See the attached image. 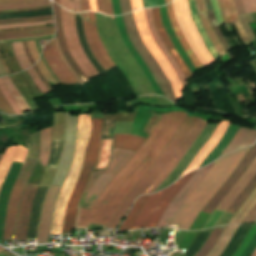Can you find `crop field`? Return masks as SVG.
Masks as SVG:
<instances>
[{
	"mask_svg": "<svg viewBox=\"0 0 256 256\" xmlns=\"http://www.w3.org/2000/svg\"><path fill=\"white\" fill-rule=\"evenodd\" d=\"M91 121H92V130H91L89 142L86 148L83 168L80 173L77 184L74 188V191L67 204L62 235L71 233L73 230L76 215H77L78 203L86 188L87 182L96 166L103 119H91Z\"/></svg>",
	"mask_w": 256,
	"mask_h": 256,
	"instance_id": "dd49c442",
	"label": "crop field"
},
{
	"mask_svg": "<svg viewBox=\"0 0 256 256\" xmlns=\"http://www.w3.org/2000/svg\"><path fill=\"white\" fill-rule=\"evenodd\" d=\"M61 23L65 34L66 44L70 51L71 56L74 58L78 66L84 72L86 77L90 79L91 77H96L99 74L91 65L87 57L85 56L76 33L75 29V16L73 13L67 12L66 10L60 8Z\"/></svg>",
	"mask_w": 256,
	"mask_h": 256,
	"instance_id": "28ad6ade",
	"label": "crop field"
},
{
	"mask_svg": "<svg viewBox=\"0 0 256 256\" xmlns=\"http://www.w3.org/2000/svg\"><path fill=\"white\" fill-rule=\"evenodd\" d=\"M256 204V190L252 195L246 200V202L237 211L234 217L230 220L228 224H238L243 221L246 215L251 211L253 206Z\"/></svg>",
	"mask_w": 256,
	"mask_h": 256,
	"instance_id": "1d83c4d3",
	"label": "crop field"
},
{
	"mask_svg": "<svg viewBox=\"0 0 256 256\" xmlns=\"http://www.w3.org/2000/svg\"><path fill=\"white\" fill-rule=\"evenodd\" d=\"M29 75L31 76L32 80L35 82V84L39 87V89L42 91L43 94L49 93V91L45 88L44 84L40 80L39 76L35 72V70L32 68L27 70Z\"/></svg>",
	"mask_w": 256,
	"mask_h": 256,
	"instance_id": "d23c7cc5",
	"label": "crop field"
},
{
	"mask_svg": "<svg viewBox=\"0 0 256 256\" xmlns=\"http://www.w3.org/2000/svg\"><path fill=\"white\" fill-rule=\"evenodd\" d=\"M245 12H256V0H242Z\"/></svg>",
	"mask_w": 256,
	"mask_h": 256,
	"instance_id": "1f2cbd36",
	"label": "crop field"
},
{
	"mask_svg": "<svg viewBox=\"0 0 256 256\" xmlns=\"http://www.w3.org/2000/svg\"><path fill=\"white\" fill-rule=\"evenodd\" d=\"M145 10V14H146V19H147V23H148V27L157 43V45L159 46V48L161 49L162 53L164 54V56L168 59V61L171 63V65L173 66V68L175 69L179 79L181 80L183 87L186 86V84L188 83L184 73L182 72L181 68L177 65V63L174 61V59L171 57L169 51L167 50L166 46L164 45L163 41L161 40V38L159 37L158 33L155 30V27L153 25V21H152V11L151 8H147L144 9Z\"/></svg>",
	"mask_w": 256,
	"mask_h": 256,
	"instance_id": "92a150f3",
	"label": "crop field"
},
{
	"mask_svg": "<svg viewBox=\"0 0 256 256\" xmlns=\"http://www.w3.org/2000/svg\"><path fill=\"white\" fill-rule=\"evenodd\" d=\"M256 144V143H255ZM256 157V145H254L250 151L245 155L241 163L237 166L234 172L229 176L225 183L220 187L216 194L212 197L209 203L203 208L202 212L211 214L221 199L231 189L239 177L243 174L252 160Z\"/></svg>",
	"mask_w": 256,
	"mask_h": 256,
	"instance_id": "5142ce71",
	"label": "crop field"
},
{
	"mask_svg": "<svg viewBox=\"0 0 256 256\" xmlns=\"http://www.w3.org/2000/svg\"><path fill=\"white\" fill-rule=\"evenodd\" d=\"M144 141L145 138L138 136L114 134L113 147L136 151L144 143Z\"/></svg>",
	"mask_w": 256,
	"mask_h": 256,
	"instance_id": "ae1a2a85",
	"label": "crop field"
},
{
	"mask_svg": "<svg viewBox=\"0 0 256 256\" xmlns=\"http://www.w3.org/2000/svg\"><path fill=\"white\" fill-rule=\"evenodd\" d=\"M82 17H83L85 20L88 21V19H87V13H82Z\"/></svg>",
	"mask_w": 256,
	"mask_h": 256,
	"instance_id": "c5b07064",
	"label": "crop field"
},
{
	"mask_svg": "<svg viewBox=\"0 0 256 256\" xmlns=\"http://www.w3.org/2000/svg\"><path fill=\"white\" fill-rule=\"evenodd\" d=\"M51 139L52 126L40 131V157L38 160L44 166H46L49 156ZM39 161L37 162L27 183L39 184L45 171V167ZM37 186L38 185L32 184L26 185V189L21 200L14 240H26L31 203L33 196L37 190Z\"/></svg>",
	"mask_w": 256,
	"mask_h": 256,
	"instance_id": "e52e79f7",
	"label": "crop field"
},
{
	"mask_svg": "<svg viewBox=\"0 0 256 256\" xmlns=\"http://www.w3.org/2000/svg\"><path fill=\"white\" fill-rule=\"evenodd\" d=\"M27 44H28V48L30 50L31 56H32L34 62H36L39 54H38L37 48L35 46V43L33 41H28Z\"/></svg>",
	"mask_w": 256,
	"mask_h": 256,
	"instance_id": "dbb93151",
	"label": "crop field"
},
{
	"mask_svg": "<svg viewBox=\"0 0 256 256\" xmlns=\"http://www.w3.org/2000/svg\"><path fill=\"white\" fill-rule=\"evenodd\" d=\"M17 146V145H16ZM16 146L6 149L1 160H0V188L3 183V180L9 170V167L12 163L13 155L16 149Z\"/></svg>",
	"mask_w": 256,
	"mask_h": 256,
	"instance_id": "d32e631a",
	"label": "crop field"
},
{
	"mask_svg": "<svg viewBox=\"0 0 256 256\" xmlns=\"http://www.w3.org/2000/svg\"><path fill=\"white\" fill-rule=\"evenodd\" d=\"M82 23H83V27H84L85 37H86L88 46H89L92 54L94 55L96 60L99 62V64L104 68L105 71L110 70V67L107 65V63L100 56L99 52L97 51V49L94 45L93 39H92V37L90 35V32H89L88 22L82 20Z\"/></svg>",
	"mask_w": 256,
	"mask_h": 256,
	"instance_id": "028f5c9d",
	"label": "crop field"
},
{
	"mask_svg": "<svg viewBox=\"0 0 256 256\" xmlns=\"http://www.w3.org/2000/svg\"><path fill=\"white\" fill-rule=\"evenodd\" d=\"M113 140H102L99 164L96 169H105L111 159V147Z\"/></svg>",
	"mask_w": 256,
	"mask_h": 256,
	"instance_id": "e1f06a70",
	"label": "crop field"
},
{
	"mask_svg": "<svg viewBox=\"0 0 256 256\" xmlns=\"http://www.w3.org/2000/svg\"><path fill=\"white\" fill-rule=\"evenodd\" d=\"M42 53L62 84L77 83L76 79L72 76L62 59L59 57L54 40L45 46Z\"/></svg>",
	"mask_w": 256,
	"mask_h": 256,
	"instance_id": "d9b57169",
	"label": "crop field"
},
{
	"mask_svg": "<svg viewBox=\"0 0 256 256\" xmlns=\"http://www.w3.org/2000/svg\"><path fill=\"white\" fill-rule=\"evenodd\" d=\"M144 8L158 6L157 0H143Z\"/></svg>",
	"mask_w": 256,
	"mask_h": 256,
	"instance_id": "db79e9e6",
	"label": "crop field"
},
{
	"mask_svg": "<svg viewBox=\"0 0 256 256\" xmlns=\"http://www.w3.org/2000/svg\"><path fill=\"white\" fill-rule=\"evenodd\" d=\"M13 45V51L15 54V57L21 67L22 70L28 68L30 65L27 56L25 54V51L23 49L22 43L21 42H17V43H12Z\"/></svg>",
	"mask_w": 256,
	"mask_h": 256,
	"instance_id": "c035e120",
	"label": "crop field"
},
{
	"mask_svg": "<svg viewBox=\"0 0 256 256\" xmlns=\"http://www.w3.org/2000/svg\"><path fill=\"white\" fill-rule=\"evenodd\" d=\"M213 163L214 162L196 171V173L191 177V179L186 183V185L181 189V191L173 198V200L167 207L165 213L161 217L156 227L167 226L169 220L172 218L174 213L179 209L182 202L185 200L188 194L194 189V187L201 181V179L206 175V173L209 171Z\"/></svg>",
	"mask_w": 256,
	"mask_h": 256,
	"instance_id": "cbeb9de0",
	"label": "crop field"
},
{
	"mask_svg": "<svg viewBox=\"0 0 256 256\" xmlns=\"http://www.w3.org/2000/svg\"><path fill=\"white\" fill-rule=\"evenodd\" d=\"M233 1L236 6L237 15L245 13L241 4V0H233Z\"/></svg>",
	"mask_w": 256,
	"mask_h": 256,
	"instance_id": "0765c3eb",
	"label": "crop field"
},
{
	"mask_svg": "<svg viewBox=\"0 0 256 256\" xmlns=\"http://www.w3.org/2000/svg\"><path fill=\"white\" fill-rule=\"evenodd\" d=\"M218 4L221 9L222 16H223L225 23L234 22L237 32H238L240 38L242 39V41L245 43V45L250 44V41L246 37V35L238 21V17L235 13V9H234L232 0H218Z\"/></svg>",
	"mask_w": 256,
	"mask_h": 256,
	"instance_id": "dafd665d",
	"label": "crop field"
},
{
	"mask_svg": "<svg viewBox=\"0 0 256 256\" xmlns=\"http://www.w3.org/2000/svg\"><path fill=\"white\" fill-rule=\"evenodd\" d=\"M89 1H90L91 10L97 11L96 1L95 0H89Z\"/></svg>",
	"mask_w": 256,
	"mask_h": 256,
	"instance_id": "c39391a2",
	"label": "crop field"
},
{
	"mask_svg": "<svg viewBox=\"0 0 256 256\" xmlns=\"http://www.w3.org/2000/svg\"><path fill=\"white\" fill-rule=\"evenodd\" d=\"M60 6L63 8L74 11V1L73 0H60Z\"/></svg>",
	"mask_w": 256,
	"mask_h": 256,
	"instance_id": "9d1cf04e",
	"label": "crop field"
},
{
	"mask_svg": "<svg viewBox=\"0 0 256 256\" xmlns=\"http://www.w3.org/2000/svg\"><path fill=\"white\" fill-rule=\"evenodd\" d=\"M48 12V11H47ZM40 13V12H39ZM31 14V13H30ZM3 17V16H2Z\"/></svg>",
	"mask_w": 256,
	"mask_h": 256,
	"instance_id": "180be81f",
	"label": "crop field"
},
{
	"mask_svg": "<svg viewBox=\"0 0 256 256\" xmlns=\"http://www.w3.org/2000/svg\"><path fill=\"white\" fill-rule=\"evenodd\" d=\"M238 227L239 225L226 226L216 245L207 256H219L233 237Z\"/></svg>",
	"mask_w": 256,
	"mask_h": 256,
	"instance_id": "bd1437ed",
	"label": "crop field"
},
{
	"mask_svg": "<svg viewBox=\"0 0 256 256\" xmlns=\"http://www.w3.org/2000/svg\"><path fill=\"white\" fill-rule=\"evenodd\" d=\"M98 12L105 15H114L111 6V0H96Z\"/></svg>",
	"mask_w": 256,
	"mask_h": 256,
	"instance_id": "5d738f31",
	"label": "crop field"
},
{
	"mask_svg": "<svg viewBox=\"0 0 256 256\" xmlns=\"http://www.w3.org/2000/svg\"><path fill=\"white\" fill-rule=\"evenodd\" d=\"M166 8H167L168 16H169L170 22L172 24V27L182 45V47L184 48L186 54L188 55L189 59L195 65L196 69L204 68L202 66V64L199 62V60L196 58V56L193 54L188 42L186 41L183 33L181 32V30L177 24L175 14H174L173 4L170 3V4L166 5Z\"/></svg>",
	"mask_w": 256,
	"mask_h": 256,
	"instance_id": "a9b5d70f",
	"label": "crop field"
},
{
	"mask_svg": "<svg viewBox=\"0 0 256 256\" xmlns=\"http://www.w3.org/2000/svg\"><path fill=\"white\" fill-rule=\"evenodd\" d=\"M43 76L46 78L47 81L56 83L54 78L51 76V74L48 72V70L45 68V66L42 64L41 60L39 59L38 63L36 64Z\"/></svg>",
	"mask_w": 256,
	"mask_h": 256,
	"instance_id": "89e229c0",
	"label": "crop field"
},
{
	"mask_svg": "<svg viewBox=\"0 0 256 256\" xmlns=\"http://www.w3.org/2000/svg\"><path fill=\"white\" fill-rule=\"evenodd\" d=\"M132 8L134 9H140L143 8L142 6V0H131Z\"/></svg>",
	"mask_w": 256,
	"mask_h": 256,
	"instance_id": "7b73153f",
	"label": "crop field"
},
{
	"mask_svg": "<svg viewBox=\"0 0 256 256\" xmlns=\"http://www.w3.org/2000/svg\"><path fill=\"white\" fill-rule=\"evenodd\" d=\"M195 1H196L197 10H198V16L201 20V23H202L207 35L209 36L210 40L212 41L216 51L218 52L219 55L226 53L225 50L223 49V47L221 46L220 42L216 38V36L206 18L203 1L202 0H195Z\"/></svg>",
	"mask_w": 256,
	"mask_h": 256,
	"instance_id": "eef30255",
	"label": "crop field"
},
{
	"mask_svg": "<svg viewBox=\"0 0 256 256\" xmlns=\"http://www.w3.org/2000/svg\"><path fill=\"white\" fill-rule=\"evenodd\" d=\"M90 28H91V32H92V35H93L94 42H95V44H96L100 54L102 55V57L104 58V60L108 63V65L110 67L114 66V63L108 57V55L106 54V52H105V50L103 48V45H102V43H101V41L99 39V36L97 34L95 26L90 24Z\"/></svg>",
	"mask_w": 256,
	"mask_h": 256,
	"instance_id": "03da06ac",
	"label": "crop field"
},
{
	"mask_svg": "<svg viewBox=\"0 0 256 256\" xmlns=\"http://www.w3.org/2000/svg\"><path fill=\"white\" fill-rule=\"evenodd\" d=\"M224 228L213 229L206 243L195 256H206L213 248Z\"/></svg>",
	"mask_w": 256,
	"mask_h": 256,
	"instance_id": "b80d0937",
	"label": "crop field"
},
{
	"mask_svg": "<svg viewBox=\"0 0 256 256\" xmlns=\"http://www.w3.org/2000/svg\"><path fill=\"white\" fill-rule=\"evenodd\" d=\"M167 115H169L168 118L156 135ZM187 115L188 113L186 112H168L163 114L147 141L111 179L106 189L104 188L105 190L94 203L92 209L81 208L77 227H87L89 223L106 226L127 192L148 171L178 131Z\"/></svg>",
	"mask_w": 256,
	"mask_h": 256,
	"instance_id": "8a807250",
	"label": "crop field"
},
{
	"mask_svg": "<svg viewBox=\"0 0 256 256\" xmlns=\"http://www.w3.org/2000/svg\"><path fill=\"white\" fill-rule=\"evenodd\" d=\"M256 221V205L243 222Z\"/></svg>",
	"mask_w": 256,
	"mask_h": 256,
	"instance_id": "447ae74e",
	"label": "crop field"
},
{
	"mask_svg": "<svg viewBox=\"0 0 256 256\" xmlns=\"http://www.w3.org/2000/svg\"><path fill=\"white\" fill-rule=\"evenodd\" d=\"M52 5H53L55 21H56V25H57V39H58V43H59L60 49H61L63 55L66 57L67 61L74 68L76 73L79 75V77L81 78L82 82L83 83L88 82L89 80L84 76V74L78 68V66L76 65L75 61L70 57V54H69V52L67 50V47H66V44H65V41H64V37H63L61 23H60L59 6H57L53 2H52Z\"/></svg>",
	"mask_w": 256,
	"mask_h": 256,
	"instance_id": "00972430",
	"label": "crop field"
},
{
	"mask_svg": "<svg viewBox=\"0 0 256 256\" xmlns=\"http://www.w3.org/2000/svg\"><path fill=\"white\" fill-rule=\"evenodd\" d=\"M49 18H53V16L29 18V19H19V20H10V21H0V24L34 22V21H40V20L49 19Z\"/></svg>",
	"mask_w": 256,
	"mask_h": 256,
	"instance_id": "73cf0c24",
	"label": "crop field"
},
{
	"mask_svg": "<svg viewBox=\"0 0 256 256\" xmlns=\"http://www.w3.org/2000/svg\"><path fill=\"white\" fill-rule=\"evenodd\" d=\"M231 121H221L216 130L214 131L213 135L211 136L210 140L203 146V148L199 151V153L195 156V158L192 160V162L189 164V166L186 168V170L183 172L181 176L184 174L195 170L199 168L202 161L205 159V157L215 148V146L218 144L219 140L223 136L224 132L228 128ZM180 176V177H181Z\"/></svg>",
	"mask_w": 256,
	"mask_h": 256,
	"instance_id": "4a817a6b",
	"label": "crop field"
},
{
	"mask_svg": "<svg viewBox=\"0 0 256 256\" xmlns=\"http://www.w3.org/2000/svg\"><path fill=\"white\" fill-rule=\"evenodd\" d=\"M90 129L91 122L89 114L79 116L74 160L72 163L71 171L69 170L70 173L61 188L55 205L54 218L50 234L61 235L66 204L81 171Z\"/></svg>",
	"mask_w": 256,
	"mask_h": 256,
	"instance_id": "f4fd0767",
	"label": "crop field"
},
{
	"mask_svg": "<svg viewBox=\"0 0 256 256\" xmlns=\"http://www.w3.org/2000/svg\"><path fill=\"white\" fill-rule=\"evenodd\" d=\"M133 15H134V19H135L137 28L140 32L143 42L145 43V45L147 46V48L149 49L151 54L154 56V58L156 59V61L159 64V66L161 67V69L167 76L168 80L170 81V83L174 89L176 99L178 101L179 98L181 97L183 87H182L176 73L174 72L173 68L168 63V61L165 59V57L159 50L158 46L154 42L153 38L151 37L148 27H147L143 9L134 11Z\"/></svg>",
	"mask_w": 256,
	"mask_h": 256,
	"instance_id": "3316defc",
	"label": "crop field"
},
{
	"mask_svg": "<svg viewBox=\"0 0 256 256\" xmlns=\"http://www.w3.org/2000/svg\"><path fill=\"white\" fill-rule=\"evenodd\" d=\"M152 11H153L154 25H155L159 35L163 39V41L166 44V46L168 47L171 55L174 57L175 61L179 64V66L182 68L183 72L185 73V75H186V77L188 79L193 74L188 69V67L185 65V63L182 61L181 57L176 52L173 44L171 43L169 37L167 36V34H166V32H165V30L163 28V25L161 23L159 7L152 8Z\"/></svg>",
	"mask_w": 256,
	"mask_h": 256,
	"instance_id": "bc2a9ffb",
	"label": "crop field"
},
{
	"mask_svg": "<svg viewBox=\"0 0 256 256\" xmlns=\"http://www.w3.org/2000/svg\"><path fill=\"white\" fill-rule=\"evenodd\" d=\"M2 155H0V158H1Z\"/></svg>",
	"mask_w": 256,
	"mask_h": 256,
	"instance_id": "f0312440",
	"label": "crop field"
},
{
	"mask_svg": "<svg viewBox=\"0 0 256 256\" xmlns=\"http://www.w3.org/2000/svg\"><path fill=\"white\" fill-rule=\"evenodd\" d=\"M205 2V8H206V13H207V17L209 19V22L217 36V38L219 39V41L221 42V44L223 45L224 49L227 51L231 50L229 48V46L226 44L219 28H218V25L216 23V20H215V17H214V13H213V10L211 8V4H210V0H204Z\"/></svg>",
	"mask_w": 256,
	"mask_h": 256,
	"instance_id": "5866460e",
	"label": "crop field"
},
{
	"mask_svg": "<svg viewBox=\"0 0 256 256\" xmlns=\"http://www.w3.org/2000/svg\"><path fill=\"white\" fill-rule=\"evenodd\" d=\"M198 118L187 117L179 131L173 137V139L166 146L164 151L161 153L159 158L149 169V171L132 187L129 193L124 198L123 202L115 212L114 216L107 224L106 228L115 229L119 224L121 219L126 214L133 200L141 193L142 189L149 183V181L158 173V171L165 165L169 160L171 154L175 151L181 140L190 131V129L195 125ZM207 123L198 119L196 125L191 129V131L186 135L183 141L180 143L176 151L172 154L170 160L166 165L159 171V173L153 178V180L147 185V187L142 191L140 195L151 194L161 182L173 171L177 166L179 161L182 159L190 145L195 141V139L200 135Z\"/></svg>",
	"mask_w": 256,
	"mask_h": 256,
	"instance_id": "ac0d7876",
	"label": "crop field"
},
{
	"mask_svg": "<svg viewBox=\"0 0 256 256\" xmlns=\"http://www.w3.org/2000/svg\"><path fill=\"white\" fill-rule=\"evenodd\" d=\"M256 141V131L240 127L239 131L226 147V149L221 153V155L238 149L240 147H247L254 144ZM220 155V156H221Z\"/></svg>",
	"mask_w": 256,
	"mask_h": 256,
	"instance_id": "4177f3b9",
	"label": "crop field"
},
{
	"mask_svg": "<svg viewBox=\"0 0 256 256\" xmlns=\"http://www.w3.org/2000/svg\"><path fill=\"white\" fill-rule=\"evenodd\" d=\"M174 9L179 26L189 42L192 50L204 67L215 62L206 49L190 15L187 0H174Z\"/></svg>",
	"mask_w": 256,
	"mask_h": 256,
	"instance_id": "5a996713",
	"label": "crop field"
},
{
	"mask_svg": "<svg viewBox=\"0 0 256 256\" xmlns=\"http://www.w3.org/2000/svg\"><path fill=\"white\" fill-rule=\"evenodd\" d=\"M50 23H54V20L34 22V23L0 25V29L13 28V27H23V26H33V25H42V24H50Z\"/></svg>",
	"mask_w": 256,
	"mask_h": 256,
	"instance_id": "425ffa30",
	"label": "crop field"
},
{
	"mask_svg": "<svg viewBox=\"0 0 256 256\" xmlns=\"http://www.w3.org/2000/svg\"><path fill=\"white\" fill-rule=\"evenodd\" d=\"M50 4V0L45 1H35V2H24V3H13V4H2L0 5V10H8L15 8H30L42 5Z\"/></svg>",
	"mask_w": 256,
	"mask_h": 256,
	"instance_id": "c21b1889",
	"label": "crop field"
},
{
	"mask_svg": "<svg viewBox=\"0 0 256 256\" xmlns=\"http://www.w3.org/2000/svg\"><path fill=\"white\" fill-rule=\"evenodd\" d=\"M251 256H256V249L254 250V252Z\"/></svg>",
	"mask_w": 256,
	"mask_h": 256,
	"instance_id": "c3a83c6f",
	"label": "crop field"
},
{
	"mask_svg": "<svg viewBox=\"0 0 256 256\" xmlns=\"http://www.w3.org/2000/svg\"><path fill=\"white\" fill-rule=\"evenodd\" d=\"M88 19L90 22L95 23V14L93 12H88Z\"/></svg>",
	"mask_w": 256,
	"mask_h": 256,
	"instance_id": "e1d0b9f6",
	"label": "crop field"
},
{
	"mask_svg": "<svg viewBox=\"0 0 256 256\" xmlns=\"http://www.w3.org/2000/svg\"><path fill=\"white\" fill-rule=\"evenodd\" d=\"M134 152L113 148V159L104 172H94L80 207L90 209L109 180L125 165Z\"/></svg>",
	"mask_w": 256,
	"mask_h": 256,
	"instance_id": "d8731c3e",
	"label": "crop field"
},
{
	"mask_svg": "<svg viewBox=\"0 0 256 256\" xmlns=\"http://www.w3.org/2000/svg\"><path fill=\"white\" fill-rule=\"evenodd\" d=\"M20 1H29V0H0L1 3H11V2H20Z\"/></svg>",
	"mask_w": 256,
	"mask_h": 256,
	"instance_id": "ade564c9",
	"label": "crop field"
},
{
	"mask_svg": "<svg viewBox=\"0 0 256 256\" xmlns=\"http://www.w3.org/2000/svg\"><path fill=\"white\" fill-rule=\"evenodd\" d=\"M211 4L214 8L217 23H218V25H220L222 23V17H221L220 10L218 8L217 0H211Z\"/></svg>",
	"mask_w": 256,
	"mask_h": 256,
	"instance_id": "0fb4a251",
	"label": "crop field"
},
{
	"mask_svg": "<svg viewBox=\"0 0 256 256\" xmlns=\"http://www.w3.org/2000/svg\"><path fill=\"white\" fill-rule=\"evenodd\" d=\"M0 90H1L2 94L4 95V97L6 98V100L11 105L12 109L15 111V113L16 114H23L21 112V110L19 109V107L17 106V104L15 103V101L12 99L9 91L7 90L6 86L2 82L1 78H0Z\"/></svg>",
	"mask_w": 256,
	"mask_h": 256,
	"instance_id": "b54c1fbb",
	"label": "crop field"
},
{
	"mask_svg": "<svg viewBox=\"0 0 256 256\" xmlns=\"http://www.w3.org/2000/svg\"><path fill=\"white\" fill-rule=\"evenodd\" d=\"M189 2V7H190V15L207 47V49L209 50V52L211 53V55L213 56V58L216 60H218L220 57L218 56V54L216 53L215 49L213 48L210 40L208 39L201 23H200V20L197 16V11H196V7H195V2L194 0H188Z\"/></svg>",
	"mask_w": 256,
	"mask_h": 256,
	"instance_id": "750c4746",
	"label": "crop field"
},
{
	"mask_svg": "<svg viewBox=\"0 0 256 256\" xmlns=\"http://www.w3.org/2000/svg\"><path fill=\"white\" fill-rule=\"evenodd\" d=\"M249 149H241L216 160L209 173L181 205L170 223L180 225V229L189 230L199 211L207 204Z\"/></svg>",
	"mask_w": 256,
	"mask_h": 256,
	"instance_id": "34b2d1b8",
	"label": "crop field"
},
{
	"mask_svg": "<svg viewBox=\"0 0 256 256\" xmlns=\"http://www.w3.org/2000/svg\"><path fill=\"white\" fill-rule=\"evenodd\" d=\"M23 44H24V49H25V51H26V54H27V56H28V58H29V60H30L31 64H34V62H33L32 58H31V56H30V53H29V51H28V48H27L26 43H25V42H23Z\"/></svg>",
	"mask_w": 256,
	"mask_h": 256,
	"instance_id": "ae633e8c",
	"label": "crop field"
},
{
	"mask_svg": "<svg viewBox=\"0 0 256 256\" xmlns=\"http://www.w3.org/2000/svg\"><path fill=\"white\" fill-rule=\"evenodd\" d=\"M170 1H172V0H165L166 3L170 2Z\"/></svg>",
	"mask_w": 256,
	"mask_h": 256,
	"instance_id": "fb207236",
	"label": "crop field"
},
{
	"mask_svg": "<svg viewBox=\"0 0 256 256\" xmlns=\"http://www.w3.org/2000/svg\"><path fill=\"white\" fill-rule=\"evenodd\" d=\"M1 253V252H0Z\"/></svg>",
	"mask_w": 256,
	"mask_h": 256,
	"instance_id": "1f1604b0",
	"label": "crop field"
},
{
	"mask_svg": "<svg viewBox=\"0 0 256 256\" xmlns=\"http://www.w3.org/2000/svg\"><path fill=\"white\" fill-rule=\"evenodd\" d=\"M256 172V158L250 164L247 171L243 174V176L238 180V182L233 186V188L227 193V195L223 198L220 204L216 209L227 210L230 206L231 202L238 195V193L243 189V187L248 183V181L252 178V176Z\"/></svg>",
	"mask_w": 256,
	"mask_h": 256,
	"instance_id": "214f88e0",
	"label": "crop field"
},
{
	"mask_svg": "<svg viewBox=\"0 0 256 256\" xmlns=\"http://www.w3.org/2000/svg\"><path fill=\"white\" fill-rule=\"evenodd\" d=\"M81 7H80V0H75V12H80Z\"/></svg>",
	"mask_w": 256,
	"mask_h": 256,
	"instance_id": "d14b1444",
	"label": "crop field"
},
{
	"mask_svg": "<svg viewBox=\"0 0 256 256\" xmlns=\"http://www.w3.org/2000/svg\"><path fill=\"white\" fill-rule=\"evenodd\" d=\"M33 67H34V69L36 70V72L38 73V75L40 76V78H41V80L43 81V83L49 88L50 92H52V89L49 87V85H48V83L46 82V80L44 79V77L40 74V72H39L38 68L36 67V65L33 66ZM47 87H46V88H47ZM48 88H47V89H48Z\"/></svg>",
	"mask_w": 256,
	"mask_h": 256,
	"instance_id": "0f1d7ab4",
	"label": "crop field"
},
{
	"mask_svg": "<svg viewBox=\"0 0 256 256\" xmlns=\"http://www.w3.org/2000/svg\"><path fill=\"white\" fill-rule=\"evenodd\" d=\"M2 80L4 81L5 85L9 89L10 93L14 97L15 101L17 102V104L20 107V109L22 110V112H24L26 110H29L30 112H32L30 107L27 105V103L24 101V99L21 97V95L19 94V92L17 91L15 86L13 85L10 78L4 77V78H2Z\"/></svg>",
	"mask_w": 256,
	"mask_h": 256,
	"instance_id": "0bd39190",
	"label": "crop field"
},
{
	"mask_svg": "<svg viewBox=\"0 0 256 256\" xmlns=\"http://www.w3.org/2000/svg\"><path fill=\"white\" fill-rule=\"evenodd\" d=\"M36 162V160L26 158L21 172L13 186L4 224L3 239L5 240H12L13 238L20 195Z\"/></svg>",
	"mask_w": 256,
	"mask_h": 256,
	"instance_id": "d1516ede",
	"label": "crop field"
},
{
	"mask_svg": "<svg viewBox=\"0 0 256 256\" xmlns=\"http://www.w3.org/2000/svg\"><path fill=\"white\" fill-rule=\"evenodd\" d=\"M54 1H56L57 3H59V0H54Z\"/></svg>",
	"mask_w": 256,
	"mask_h": 256,
	"instance_id": "7312dd0a",
	"label": "crop field"
},
{
	"mask_svg": "<svg viewBox=\"0 0 256 256\" xmlns=\"http://www.w3.org/2000/svg\"><path fill=\"white\" fill-rule=\"evenodd\" d=\"M61 187L51 185L44 201L37 243H47L55 199Z\"/></svg>",
	"mask_w": 256,
	"mask_h": 256,
	"instance_id": "733c2abd",
	"label": "crop field"
},
{
	"mask_svg": "<svg viewBox=\"0 0 256 256\" xmlns=\"http://www.w3.org/2000/svg\"><path fill=\"white\" fill-rule=\"evenodd\" d=\"M27 152L28 150H26L21 146H18L13 161L23 164L26 158ZM14 162L10 167V170L6 176V179L0 191V243L2 241L3 224H4V217L6 213L8 199L10 196L12 186L22 166V164H18Z\"/></svg>",
	"mask_w": 256,
	"mask_h": 256,
	"instance_id": "22f410ed",
	"label": "crop field"
},
{
	"mask_svg": "<svg viewBox=\"0 0 256 256\" xmlns=\"http://www.w3.org/2000/svg\"><path fill=\"white\" fill-rule=\"evenodd\" d=\"M55 42H56V45H57V48H58V51H59V54H60V57L63 59V61L65 62V64L67 65V67L69 68L70 72L73 74V76L77 79V81L83 85V83L79 80V78L77 77V75L75 74L74 70L72 69V67L68 64V62L66 61L65 57L61 54V51L59 49V46H58V43H57V39L54 38Z\"/></svg>",
	"mask_w": 256,
	"mask_h": 256,
	"instance_id": "1d79db26",
	"label": "crop field"
},
{
	"mask_svg": "<svg viewBox=\"0 0 256 256\" xmlns=\"http://www.w3.org/2000/svg\"><path fill=\"white\" fill-rule=\"evenodd\" d=\"M82 11H90L89 1L81 0Z\"/></svg>",
	"mask_w": 256,
	"mask_h": 256,
	"instance_id": "78b8030e",
	"label": "crop field"
},
{
	"mask_svg": "<svg viewBox=\"0 0 256 256\" xmlns=\"http://www.w3.org/2000/svg\"><path fill=\"white\" fill-rule=\"evenodd\" d=\"M256 247V224L252 225L246 237L233 256H250Z\"/></svg>",
	"mask_w": 256,
	"mask_h": 256,
	"instance_id": "d3111659",
	"label": "crop field"
},
{
	"mask_svg": "<svg viewBox=\"0 0 256 256\" xmlns=\"http://www.w3.org/2000/svg\"><path fill=\"white\" fill-rule=\"evenodd\" d=\"M256 187V175L251 179V181L246 185L243 191L239 194L236 200L232 203V205L228 208V212L235 213L236 210L240 207V205L245 201V199L249 196V194Z\"/></svg>",
	"mask_w": 256,
	"mask_h": 256,
	"instance_id": "120bbe31",
	"label": "crop field"
},
{
	"mask_svg": "<svg viewBox=\"0 0 256 256\" xmlns=\"http://www.w3.org/2000/svg\"><path fill=\"white\" fill-rule=\"evenodd\" d=\"M54 32H55V26L49 27V28H42V29L6 31V32H0V40L37 37L41 35L52 34Z\"/></svg>",
	"mask_w": 256,
	"mask_h": 256,
	"instance_id": "730fd06b",
	"label": "crop field"
},
{
	"mask_svg": "<svg viewBox=\"0 0 256 256\" xmlns=\"http://www.w3.org/2000/svg\"><path fill=\"white\" fill-rule=\"evenodd\" d=\"M195 172V171H194ZM194 172L185 175L173 186L152 195L141 196L133 204L119 231L155 227L161 214Z\"/></svg>",
	"mask_w": 256,
	"mask_h": 256,
	"instance_id": "412701ff",
	"label": "crop field"
},
{
	"mask_svg": "<svg viewBox=\"0 0 256 256\" xmlns=\"http://www.w3.org/2000/svg\"><path fill=\"white\" fill-rule=\"evenodd\" d=\"M0 112L5 114H14L7 101L0 92Z\"/></svg>",
	"mask_w": 256,
	"mask_h": 256,
	"instance_id": "25e5ab78",
	"label": "crop field"
}]
</instances>
